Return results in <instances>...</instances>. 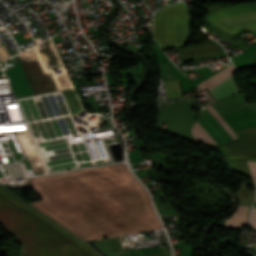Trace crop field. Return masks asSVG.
<instances>
[{"label": "crop field", "mask_w": 256, "mask_h": 256, "mask_svg": "<svg viewBox=\"0 0 256 256\" xmlns=\"http://www.w3.org/2000/svg\"><path fill=\"white\" fill-rule=\"evenodd\" d=\"M29 179L30 204L84 240L162 228L123 163Z\"/></svg>", "instance_id": "obj_1"}, {"label": "crop field", "mask_w": 256, "mask_h": 256, "mask_svg": "<svg viewBox=\"0 0 256 256\" xmlns=\"http://www.w3.org/2000/svg\"><path fill=\"white\" fill-rule=\"evenodd\" d=\"M0 224L22 245L21 256H98L1 189Z\"/></svg>", "instance_id": "obj_2"}, {"label": "crop field", "mask_w": 256, "mask_h": 256, "mask_svg": "<svg viewBox=\"0 0 256 256\" xmlns=\"http://www.w3.org/2000/svg\"><path fill=\"white\" fill-rule=\"evenodd\" d=\"M249 206H240L237 213L225 220V226L236 228L246 224V217Z\"/></svg>", "instance_id": "obj_10"}, {"label": "crop field", "mask_w": 256, "mask_h": 256, "mask_svg": "<svg viewBox=\"0 0 256 256\" xmlns=\"http://www.w3.org/2000/svg\"><path fill=\"white\" fill-rule=\"evenodd\" d=\"M191 135L196 141L219 144L198 120L191 127Z\"/></svg>", "instance_id": "obj_9"}, {"label": "crop field", "mask_w": 256, "mask_h": 256, "mask_svg": "<svg viewBox=\"0 0 256 256\" xmlns=\"http://www.w3.org/2000/svg\"><path fill=\"white\" fill-rule=\"evenodd\" d=\"M212 91L215 93L218 99L242 92V90L236 86L233 76L227 79L224 83L212 88ZM212 91L210 89L208 90V93L210 95V98H212L213 101H215L217 100V97L214 95Z\"/></svg>", "instance_id": "obj_7"}, {"label": "crop field", "mask_w": 256, "mask_h": 256, "mask_svg": "<svg viewBox=\"0 0 256 256\" xmlns=\"http://www.w3.org/2000/svg\"><path fill=\"white\" fill-rule=\"evenodd\" d=\"M249 224L256 229V208H252L249 217Z\"/></svg>", "instance_id": "obj_12"}, {"label": "crop field", "mask_w": 256, "mask_h": 256, "mask_svg": "<svg viewBox=\"0 0 256 256\" xmlns=\"http://www.w3.org/2000/svg\"><path fill=\"white\" fill-rule=\"evenodd\" d=\"M234 72H235V70L233 68V65H230L227 68H225L224 70L215 74L214 76H212V77L210 76L211 78H209L207 80L205 79L206 81H204L196 86H198L202 90L209 89V88L215 86L216 84L220 83L221 81H223L225 78H227Z\"/></svg>", "instance_id": "obj_8"}, {"label": "crop field", "mask_w": 256, "mask_h": 256, "mask_svg": "<svg viewBox=\"0 0 256 256\" xmlns=\"http://www.w3.org/2000/svg\"><path fill=\"white\" fill-rule=\"evenodd\" d=\"M238 140L219 146L228 159H256V125L235 130Z\"/></svg>", "instance_id": "obj_5"}, {"label": "crop field", "mask_w": 256, "mask_h": 256, "mask_svg": "<svg viewBox=\"0 0 256 256\" xmlns=\"http://www.w3.org/2000/svg\"><path fill=\"white\" fill-rule=\"evenodd\" d=\"M184 27L185 6L180 2L155 13L153 37L160 47L183 44Z\"/></svg>", "instance_id": "obj_3"}, {"label": "crop field", "mask_w": 256, "mask_h": 256, "mask_svg": "<svg viewBox=\"0 0 256 256\" xmlns=\"http://www.w3.org/2000/svg\"><path fill=\"white\" fill-rule=\"evenodd\" d=\"M253 180H256V162L247 161Z\"/></svg>", "instance_id": "obj_13"}, {"label": "crop field", "mask_w": 256, "mask_h": 256, "mask_svg": "<svg viewBox=\"0 0 256 256\" xmlns=\"http://www.w3.org/2000/svg\"><path fill=\"white\" fill-rule=\"evenodd\" d=\"M204 18L232 34L240 27L256 33V2L233 5L205 15Z\"/></svg>", "instance_id": "obj_4"}, {"label": "crop field", "mask_w": 256, "mask_h": 256, "mask_svg": "<svg viewBox=\"0 0 256 256\" xmlns=\"http://www.w3.org/2000/svg\"><path fill=\"white\" fill-rule=\"evenodd\" d=\"M34 172L45 170L26 130L16 131Z\"/></svg>", "instance_id": "obj_6"}, {"label": "crop field", "mask_w": 256, "mask_h": 256, "mask_svg": "<svg viewBox=\"0 0 256 256\" xmlns=\"http://www.w3.org/2000/svg\"><path fill=\"white\" fill-rule=\"evenodd\" d=\"M124 253H125V256H140L138 249L127 250V251H124Z\"/></svg>", "instance_id": "obj_14"}, {"label": "crop field", "mask_w": 256, "mask_h": 256, "mask_svg": "<svg viewBox=\"0 0 256 256\" xmlns=\"http://www.w3.org/2000/svg\"><path fill=\"white\" fill-rule=\"evenodd\" d=\"M61 91L63 93V96L66 100V103L68 105V108H69L72 116L82 110L81 105H80L72 87L63 88V89H61Z\"/></svg>", "instance_id": "obj_11"}]
</instances>
